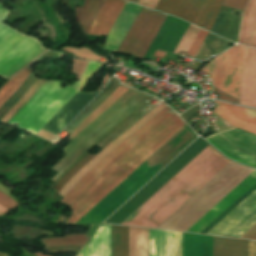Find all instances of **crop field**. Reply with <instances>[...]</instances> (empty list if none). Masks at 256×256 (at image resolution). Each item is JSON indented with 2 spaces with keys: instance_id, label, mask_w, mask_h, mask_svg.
Here are the masks:
<instances>
[{
  "instance_id": "obj_1",
  "label": "crop field",
  "mask_w": 256,
  "mask_h": 256,
  "mask_svg": "<svg viewBox=\"0 0 256 256\" xmlns=\"http://www.w3.org/2000/svg\"><path fill=\"white\" fill-rule=\"evenodd\" d=\"M169 108L157 113L150 121L138 129L135 133L124 140L118 147H116L108 156H106L100 163L93 167L63 198L61 202H65L70 195L82 184V182L92 174L99 166L114 155L121 147H123L135 135L146 128L159 115L167 111ZM173 114L168 112L163 113L146 129L135 136L123 148H121L114 156H112L106 163L98 168L91 176H89L84 183L72 194V196L65 202V204L72 206L74 201L83 193V191L107 168L114 162L121 158L125 153L137 145L141 140L158 128L162 123L169 119ZM185 124L175 114L137 146L125 154L121 159L114 163L108 170H106L98 179H96L85 192L75 201L71 209L73 213L68 221L69 224H75L81 219L89 210H91L99 201H101L109 192H111L119 183H121L129 174H131L139 165H141L149 156H151L159 147H161L169 138H171L179 129Z\"/></svg>"
},
{
  "instance_id": "obj_2",
  "label": "crop field",
  "mask_w": 256,
  "mask_h": 256,
  "mask_svg": "<svg viewBox=\"0 0 256 256\" xmlns=\"http://www.w3.org/2000/svg\"><path fill=\"white\" fill-rule=\"evenodd\" d=\"M229 162L208 145L121 224L157 228Z\"/></svg>"
},
{
  "instance_id": "obj_3",
  "label": "crop field",
  "mask_w": 256,
  "mask_h": 256,
  "mask_svg": "<svg viewBox=\"0 0 256 256\" xmlns=\"http://www.w3.org/2000/svg\"><path fill=\"white\" fill-rule=\"evenodd\" d=\"M245 47L237 45L216 57L201 71L210 74L213 86L237 99L240 96ZM241 105L256 107V49L246 47Z\"/></svg>"
},
{
  "instance_id": "obj_4",
  "label": "crop field",
  "mask_w": 256,
  "mask_h": 256,
  "mask_svg": "<svg viewBox=\"0 0 256 256\" xmlns=\"http://www.w3.org/2000/svg\"><path fill=\"white\" fill-rule=\"evenodd\" d=\"M149 98L150 96L132 89H130L122 97H120L115 103H113L108 109H106L98 118H96L87 128H85L63 149L67 155L57 165L51 168L58 172L56 176L52 179V181L55 178H57L67 167H69L85 150H87L93 142H95L97 139L103 136L119 121L125 118L128 114H130L132 111L138 108ZM128 100L130 101L127 102ZM124 103L126 104L119 110L118 108L122 106ZM116 109H118L119 111H117L115 114H113L103 123H101ZM98 124L100 125L97 126ZM91 130L93 131L89 133ZM85 135L87 136L78 145H76L69 153H67Z\"/></svg>"
},
{
  "instance_id": "obj_5",
  "label": "crop field",
  "mask_w": 256,
  "mask_h": 256,
  "mask_svg": "<svg viewBox=\"0 0 256 256\" xmlns=\"http://www.w3.org/2000/svg\"><path fill=\"white\" fill-rule=\"evenodd\" d=\"M60 83L46 82L7 124L36 134L78 92L68 85L59 88Z\"/></svg>"
},
{
  "instance_id": "obj_6",
  "label": "crop field",
  "mask_w": 256,
  "mask_h": 256,
  "mask_svg": "<svg viewBox=\"0 0 256 256\" xmlns=\"http://www.w3.org/2000/svg\"><path fill=\"white\" fill-rule=\"evenodd\" d=\"M42 50L39 41L0 23V76L8 77Z\"/></svg>"
},
{
  "instance_id": "obj_7",
  "label": "crop field",
  "mask_w": 256,
  "mask_h": 256,
  "mask_svg": "<svg viewBox=\"0 0 256 256\" xmlns=\"http://www.w3.org/2000/svg\"><path fill=\"white\" fill-rule=\"evenodd\" d=\"M104 1L85 0L83 7H75L77 23L81 25L83 34H88ZM125 4L123 0H106L89 35H108Z\"/></svg>"
},
{
  "instance_id": "obj_8",
  "label": "crop field",
  "mask_w": 256,
  "mask_h": 256,
  "mask_svg": "<svg viewBox=\"0 0 256 256\" xmlns=\"http://www.w3.org/2000/svg\"><path fill=\"white\" fill-rule=\"evenodd\" d=\"M223 0H159L156 10L211 30Z\"/></svg>"
},
{
  "instance_id": "obj_9",
  "label": "crop field",
  "mask_w": 256,
  "mask_h": 256,
  "mask_svg": "<svg viewBox=\"0 0 256 256\" xmlns=\"http://www.w3.org/2000/svg\"><path fill=\"white\" fill-rule=\"evenodd\" d=\"M166 15L142 8L118 52L143 58Z\"/></svg>"
},
{
  "instance_id": "obj_10",
  "label": "crop field",
  "mask_w": 256,
  "mask_h": 256,
  "mask_svg": "<svg viewBox=\"0 0 256 256\" xmlns=\"http://www.w3.org/2000/svg\"><path fill=\"white\" fill-rule=\"evenodd\" d=\"M256 223V190L207 234L240 238ZM241 238L256 239V224Z\"/></svg>"
},
{
  "instance_id": "obj_11",
  "label": "crop field",
  "mask_w": 256,
  "mask_h": 256,
  "mask_svg": "<svg viewBox=\"0 0 256 256\" xmlns=\"http://www.w3.org/2000/svg\"><path fill=\"white\" fill-rule=\"evenodd\" d=\"M227 157L256 167V136L235 129L206 139Z\"/></svg>"
},
{
  "instance_id": "obj_12",
  "label": "crop field",
  "mask_w": 256,
  "mask_h": 256,
  "mask_svg": "<svg viewBox=\"0 0 256 256\" xmlns=\"http://www.w3.org/2000/svg\"><path fill=\"white\" fill-rule=\"evenodd\" d=\"M166 107L162 102L139 119L135 124L128 128L124 133L118 136L114 141H112L107 147H105L95 158H93L89 163H87L79 172H77L60 190L58 194L65 196V194L98 162H100L106 155H108L117 145H119L124 139L135 132L148 120H150L157 112Z\"/></svg>"
},
{
  "instance_id": "obj_13",
  "label": "crop field",
  "mask_w": 256,
  "mask_h": 256,
  "mask_svg": "<svg viewBox=\"0 0 256 256\" xmlns=\"http://www.w3.org/2000/svg\"><path fill=\"white\" fill-rule=\"evenodd\" d=\"M99 92L79 91L42 130L57 135Z\"/></svg>"
},
{
  "instance_id": "obj_14",
  "label": "crop field",
  "mask_w": 256,
  "mask_h": 256,
  "mask_svg": "<svg viewBox=\"0 0 256 256\" xmlns=\"http://www.w3.org/2000/svg\"><path fill=\"white\" fill-rule=\"evenodd\" d=\"M149 256H181V233L149 229Z\"/></svg>"
},
{
  "instance_id": "obj_15",
  "label": "crop field",
  "mask_w": 256,
  "mask_h": 256,
  "mask_svg": "<svg viewBox=\"0 0 256 256\" xmlns=\"http://www.w3.org/2000/svg\"><path fill=\"white\" fill-rule=\"evenodd\" d=\"M215 113L236 128L256 134V110H250L215 101Z\"/></svg>"
},
{
  "instance_id": "obj_16",
  "label": "crop field",
  "mask_w": 256,
  "mask_h": 256,
  "mask_svg": "<svg viewBox=\"0 0 256 256\" xmlns=\"http://www.w3.org/2000/svg\"><path fill=\"white\" fill-rule=\"evenodd\" d=\"M255 182H256V170L252 174H250L243 182H241L235 189H233L226 197H224L217 205H215L208 213H206L200 220H198L187 231L199 233Z\"/></svg>"
},
{
  "instance_id": "obj_17",
  "label": "crop field",
  "mask_w": 256,
  "mask_h": 256,
  "mask_svg": "<svg viewBox=\"0 0 256 256\" xmlns=\"http://www.w3.org/2000/svg\"><path fill=\"white\" fill-rule=\"evenodd\" d=\"M140 9L141 6L127 2L122 13L110 31L105 41L104 48L117 52Z\"/></svg>"
},
{
  "instance_id": "obj_18",
  "label": "crop field",
  "mask_w": 256,
  "mask_h": 256,
  "mask_svg": "<svg viewBox=\"0 0 256 256\" xmlns=\"http://www.w3.org/2000/svg\"><path fill=\"white\" fill-rule=\"evenodd\" d=\"M76 256H111L110 225L102 224Z\"/></svg>"
},
{
  "instance_id": "obj_19",
  "label": "crop field",
  "mask_w": 256,
  "mask_h": 256,
  "mask_svg": "<svg viewBox=\"0 0 256 256\" xmlns=\"http://www.w3.org/2000/svg\"><path fill=\"white\" fill-rule=\"evenodd\" d=\"M238 44L256 48V0H249L244 11Z\"/></svg>"
},
{
  "instance_id": "obj_20",
  "label": "crop field",
  "mask_w": 256,
  "mask_h": 256,
  "mask_svg": "<svg viewBox=\"0 0 256 256\" xmlns=\"http://www.w3.org/2000/svg\"><path fill=\"white\" fill-rule=\"evenodd\" d=\"M213 256H247V241L213 236Z\"/></svg>"
},
{
  "instance_id": "obj_21",
  "label": "crop field",
  "mask_w": 256,
  "mask_h": 256,
  "mask_svg": "<svg viewBox=\"0 0 256 256\" xmlns=\"http://www.w3.org/2000/svg\"><path fill=\"white\" fill-rule=\"evenodd\" d=\"M129 256H148V229L129 227Z\"/></svg>"
},
{
  "instance_id": "obj_22",
  "label": "crop field",
  "mask_w": 256,
  "mask_h": 256,
  "mask_svg": "<svg viewBox=\"0 0 256 256\" xmlns=\"http://www.w3.org/2000/svg\"><path fill=\"white\" fill-rule=\"evenodd\" d=\"M112 256H128V227L111 225Z\"/></svg>"
},
{
  "instance_id": "obj_23",
  "label": "crop field",
  "mask_w": 256,
  "mask_h": 256,
  "mask_svg": "<svg viewBox=\"0 0 256 256\" xmlns=\"http://www.w3.org/2000/svg\"><path fill=\"white\" fill-rule=\"evenodd\" d=\"M229 41L208 33L194 59L206 60L210 55L227 49Z\"/></svg>"
},
{
  "instance_id": "obj_24",
  "label": "crop field",
  "mask_w": 256,
  "mask_h": 256,
  "mask_svg": "<svg viewBox=\"0 0 256 256\" xmlns=\"http://www.w3.org/2000/svg\"><path fill=\"white\" fill-rule=\"evenodd\" d=\"M129 88L119 85L118 88L103 101L72 133L70 140L89 125L97 116H99L106 108L122 96Z\"/></svg>"
},
{
  "instance_id": "obj_25",
  "label": "crop field",
  "mask_w": 256,
  "mask_h": 256,
  "mask_svg": "<svg viewBox=\"0 0 256 256\" xmlns=\"http://www.w3.org/2000/svg\"><path fill=\"white\" fill-rule=\"evenodd\" d=\"M119 83L114 79H110L104 90L65 128L67 132H71L84 118H86Z\"/></svg>"
},
{
  "instance_id": "obj_26",
  "label": "crop field",
  "mask_w": 256,
  "mask_h": 256,
  "mask_svg": "<svg viewBox=\"0 0 256 256\" xmlns=\"http://www.w3.org/2000/svg\"><path fill=\"white\" fill-rule=\"evenodd\" d=\"M30 73L31 72L29 68H25L0 89V107L14 93V91L19 87V85L27 78Z\"/></svg>"
},
{
  "instance_id": "obj_27",
  "label": "crop field",
  "mask_w": 256,
  "mask_h": 256,
  "mask_svg": "<svg viewBox=\"0 0 256 256\" xmlns=\"http://www.w3.org/2000/svg\"><path fill=\"white\" fill-rule=\"evenodd\" d=\"M84 235H65V237L45 238L41 239L45 247L58 246V245H81L83 246L89 239L83 237Z\"/></svg>"
},
{
  "instance_id": "obj_28",
  "label": "crop field",
  "mask_w": 256,
  "mask_h": 256,
  "mask_svg": "<svg viewBox=\"0 0 256 256\" xmlns=\"http://www.w3.org/2000/svg\"><path fill=\"white\" fill-rule=\"evenodd\" d=\"M44 81L37 80L32 86H30L25 93L20 97L17 103L4 115L0 122L6 124L9 119L16 113L15 111L21 106L25 105L31 96L44 84Z\"/></svg>"
},
{
  "instance_id": "obj_29",
  "label": "crop field",
  "mask_w": 256,
  "mask_h": 256,
  "mask_svg": "<svg viewBox=\"0 0 256 256\" xmlns=\"http://www.w3.org/2000/svg\"><path fill=\"white\" fill-rule=\"evenodd\" d=\"M235 17V15L220 11L211 31L225 38Z\"/></svg>"
},
{
  "instance_id": "obj_30",
  "label": "crop field",
  "mask_w": 256,
  "mask_h": 256,
  "mask_svg": "<svg viewBox=\"0 0 256 256\" xmlns=\"http://www.w3.org/2000/svg\"><path fill=\"white\" fill-rule=\"evenodd\" d=\"M102 64L97 62H91L89 61L81 79L79 82H75L73 84V87L83 91V89L86 87V85L89 83V81L92 79V77L95 75L97 70L100 68Z\"/></svg>"
},
{
  "instance_id": "obj_31",
  "label": "crop field",
  "mask_w": 256,
  "mask_h": 256,
  "mask_svg": "<svg viewBox=\"0 0 256 256\" xmlns=\"http://www.w3.org/2000/svg\"><path fill=\"white\" fill-rule=\"evenodd\" d=\"M198 31H199V28L189 24L184 35L179 41L177 47L175 48L174 53L177 54L179 50L187 52L189 46L191 45Z\"/></svg>"
},
{
  "instance_id": "obj_32",
  "label": "crop field",
  "mask_w": 256,
  "mask_h": 256,
  "mask_svg": "<svg viewBox=\"0 0 256 256\" xmlns=\"http://www.w3.org/2000/svg\"><path fill=\"white\" fill-rule=\"evenodd\" d=\"M32 74L21 84L13 96L0 108V117L13 105L23 92L36 80Z\"/></svg>"
},
{
  "instance_id": "obj_33",
  "label": "crop field",
  "mask_w": 256,
  "mask_h": 256,
  "mask_svg": "<svg viewBox=\"0 0 256 256\" xmlns=\"http://www.w3.org/2000/svg\"><path fill=\"white\" fill-rule=\"evenodd\" d=\"M95 155H87L84 157L54 188L58 191L63 187V185L78 171L80 170L92 157Z\"/></svg>"
},
{
  "instance_id": "obj_34",
  "label": "crop field",
  "mask_w": 256,
  "mask_h": 256,
  "mask_svg": "<svg viewBox=\"0 0 256 256\" xmlns=\"http://www.w3.org/2000/svg\"><path fill=\"white\" fill-rule=\"evenodd\" d=\"M206 35H207V32L200 29L198 35L196 36L195 40L193 41L191 47L189 48L187 55L194 57L195 53L197 52L198 48L200 47V45L203 42Z\"/></svg>"
},
{
  "instance_id": "obj_35",
  "label": "crop field",
  "mask_w": 256,
  "mask_h": 256,
  "mask_svg": "<svg viewBox=\"0 0 256 256\" xmlns=\"http://www.w3.org/2000/svg\"><path fill=\"white\" fill-rule=\"evenodd\" d=\"M246 2L247 0H225L223 6H227L242 11Z\"/></svg>"
},
{
  "instance_id": "obj_36",
  "label": "crop field",
  "mask_w": 256,
  "mask_h": 256,
  "mask_svg": "<svg viewBox=\"0 0 256 256\" xmlns=\"http://www.w3.org/2000/svg\"><path fill=\"white\" fill-rule=\"evenodd\" d=\"M0 204L8 207V208H16L17 203H15L13 200H11L9 197L3 195L2 193H0Z\"/></svg>"
},
{
  "instance_id": "obj_37",
  "label": "crop field",
  "mask_w": 256,
  "mask_h": 256,
  "mask_svg": "<svg viewBox=\"0 0 256 256\" xmlns=\"http://www.w3.org/2000/svg\"><path fill=\"white\" fill-rule=\"evenodd\" d=\"M213 91L219 94L217 99H221V100H225V101H229V102H233V103H237V104L239 102L238 100H236V99H234V98H232V97H230V96H228V95H226V94H224V93H222V92H220L216 89H214Z\"/></svg>"
},
{
  "instance_id": "obj_38",
  "label": "crop field",
  "mask_w": 256,
  "mask_h": 256,
  "mask_svg": "<svg viewBox=\"0 0 256 256\" xmlns=\"http://www.w3.org/2000/svg\"><path fill=\"white\" fill-rule=\"evenodd\" d=\"M57 54L53 53L51 51H47L46 53H44L42 56H40L38 59H36L34 62H32V64L36 63V62H40L44 59L47 58H56Z\"/></svg>"
},
{
  "instance_id": "obj_39",
  "label": "crop field",
  "mask_w": 256,
  "mask_h": 256,
  "mask_svg": "<svg viewBox=\"0 0 256 256\" xmlns=\"http://www.w3.org/2000/svg\"><path fill=\"white\" fill-rule=\"evenodd\" d=\"M248 256H256V242L248 241Z\"/></svg>"
},
{
  "instance_id": "obj_40",
  "label": "crop field",
  "mask_w": 256,
  "mask_h": 256,
  "mask_svg": "<svg viewBox=\"0 0 256 256\" xmlns=\"http://www.w3.org/2000/svg\"><path fill=\"white\" fill-rule=\"evenodd\" d=\"M140 1H143V2H146V3H148V4H151V5H156V3H157V1L158 0H140ZM138 2V4H141V5H144V6H147V7H150V8H155L154 6H151V5H148V4H145V3H143V2Z\"/></svg>"
},
{
  "instance_id": "obj_41",
  "label": "crop field",
  "mask_w": 256,
  "mask_h": 256,
  "mask_svg": "<svg viewBox=\"0 0 256 256\" xmlns=\"http://www.w3.org/2000/svg\"><path fill=\"white\" fill-rule=\"evenodd\" d=\"M2 4H0V21L2 22L4 17L7 15L9 11L5 10L4 8L1 7Z\"/></svg>"
},
{
  "instance_id": "obj_42",
  "label": "crop field",
  "mask_w": 256,
  "mask_h": 256,
  "mask_svg": "<svg viewBox=\"0 0 256 256\" xmlns=\"http://www.w3.org/2000/svg\"><path fill=\"white\" fill-rule=\"evenodd\" d=\"M165 55V52H162V51H160V50H158L155 54H154V56L155 57H159V58H163V56Z\"/></svg>"
},
{
  "instance_id": "obj_43",
  "label": "crop field",
  "mask_w": 256,
  "mask_h": 256,
  "mask_svg": "<svg viewBox=\"0 0 256 256\" xmlns=\"http://www.w3.org/2000/svg\"><path fill=\"white\" fill-rule=\"evenodd\" d=\"M8 211V208L0 205V212L3 213V214H6V212Z\"/></svg>"
},
{
  "instance_id": "obj_44",
  "label": "crop field",
  "mask_w": 256,
  "mask_h": 256,
  "mask_svg": "<svg viewBox=\"0 0 256 256\" xmlns=\"http://www.w3.org/2000/svg\"><path fill=\"white\" fill-rule=\"evenodd\" d=\"M0 256H7V255H5V254H1V253H0Z\"/></svg>"
},
{
  "instance_id": "obj_45",
  "label": "crop field",
  "mask_w": 256,
  "mask_h": 256,
  "mask_svg": "<svg viewBox=\"0 0 256 256\" xmlns=\"http://www.w3.org/2000/svg\"><path fill=\"white\" fill-rule=\"evenodd\" d=\"M0 215H2V214H0Z\"/></svg>"
}]
</instances>
